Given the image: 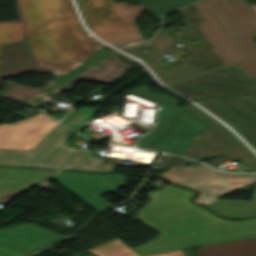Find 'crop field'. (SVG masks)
<instances>
[{"label": "crop field", "mask_w": 256, "mask_h": 256, "mask_svg": "<svg viewBox=\"0 0 256 256\" xmlns=\"http://www.w3.org/2000/svg\"><path fill=\"white\" fill-rule=\"evenodd\" d=\"M21 22L0 23L2 45L22 40L48 19L77 16L70 0H18ZM96 50L72 19L49 21L24 41L5 46L4 76L24 71L65 72ZM1 74V71H0Z\"/></svg>", "instance_id": "8a807250"}, {"label": "crop field", "mask_w": 256, "mask_h": 256, "mask_svg": "<svg viewBox=\"0 0 256 256\" xmlns=\"http://www.w3.org/2000/svg\"><path fill=\"white\" fill-rule=\"evenodd\" d=\"M148 195L136 219L160 235L132 248L141 256L256 237V218L220 219L188 202L193 192L169 185Z\"/></svg>", "instance_id": "ac0d7876"}, {"label": "crop field", "mask_w": 256, "mask_h": 256, "mask_svg": "<svg viewBox=\"0 0 256 256\" xmlns=\"http://www.w3.org/2000/svg\"><path fill=\"white\" fill-rule=\"evenodd\" d=\"M206 21L198 29L226 67L237 64L256 76V14L245 0H203L194 4Z\"/></svg>", "instance_id": "34b2d1b8"}, {"label": "crop field", "mask_w": 256, "mask_h": 256, "mask_svg": "<svg viewBox=\"0 0 256 256\" xmlns=\"http://www.w3.org/2000/svg\"><path fill=\"white\" fill-rule=\"evenodd\" d=\"M55 171L0 168V201L6 202L37 183L49 178ZM64 236L35 224H20L0 229V245L32 253Z\"/></svg>", "instance_id": "412701ff"}, {"label": "crop field", "mask_w": 256, "mask_h": 256, "mask_svg": "<svg viewBox=\"0 0 256 256\" xmlns=\"http://www.w3.org/2000/svg\"><path fill=\"white\" fill-rule=\"evenodd\" d=\"M129 66L131 65L121 63L118 57L109 51H101L72 72L66 75H56L54 83L45 89L21 87L6 81V89L1 95L40 107L41 104L37 98L43 93L60 90L72 91L73 83L79 80L110 84Z\"/></svg>", "instance_id": "f4fd0767"}, {"label": "crop field", "mask_w": 256, "mask_h": 256, "mask_svg": "<svg viewBox=\"0 0 256 256\" xmlns=\"http://www.w3.org/2000/svg\"><path fill=\"white\" fill-rule=\"evenodd\" d=\"M90 30L105 42L118 44L142 39L134 20L142 5L115 4L113 0H77Z\"/></svg>", "instance_id": "dd49c442"}, {"label": "crop field", "mask_w": 256, "mask_h": 256, "mask_svg": "<svg viewBox=\"0 0 256 256\" xmlns=\"http://www.w3.org/2000/svg\"><path fill=\"white\" fill-rule=\"evenodd\" d=\"M190 118L205 122L208 127L190 138L191 143L181 155L200 160L216 155H231L256 170V155L244 145L232 132L195 105H187Z\"/></svg>", "instance_id": "e52e79f7"}, {"label": "crop field", "mask_w": 256, "mask_h": 256, "mask_svg": "<svg viewBox=\"0 0 256 256\" xmlns=\"http://www.w3.org/2000/svg\"><path fill=\"white\" fill-rule=\"evenodd\" d=\"M195 101L201 99H256V77L236 65L169 86Z\"/></svg>", "instance_id": "d8731c3e"}, {"label": "crop field", "mask_w": 256, "mask_h": 256, "mask_svg": "<svg viewBox=\"0 0 256 256\" xmlns=\"http://www.w3.org/2000/svg\"><path fill=\"white\" fill-rule=\"evenodd\" d=\"M72 133L59 124L30 152L0 149V165L59 168L78 150L64 145Z\"/></svg>", "instance_id": "5a996713"}, {"label": "crop field", "mask_w": 256, "mask_h": 256, "mask_svg": "<svg viewBox=\"0 0 256 256\" xmlns=\"http://www.w3.org/2000/svg\"><path fill=\"white\" fill-rule=\"evenodd\" d=\"M163 176L173 183L198 190L200 194L194 201L201 205L231 192L227 185L238 183V179L256 182V175L220 173L207 166L171 167Z\"/></svg>", "instance_id": "3316defc"}, {"label": "crop field", "mask_w": 256, "mask_h": 256, "mask_svg": "<svg viewBox=\"0 0 256 256\" xmlns=\"http://www.w3.org/2000/svg\"><path fill=\"white\" fill-rule=\"evenodd\" d=\"M53 179L96 211L110 204L99 195L122 189L127 177L59 171Z\"/></svg>", "instance_id": "28ad6ade"}, {"label": "crop field", "mask_w": 256, "mask_h": 256, "mask_svg": "<svg viewBox=\"0 0 256 256\" xmlns=\"http://www.w3.org/2000/svg\"><path fill=\"white\" fill-rule=\"evenodd\" d=\"M173 40L174 39L171 38L166 31L161 30L148 43L147 47H150L151 49L146 52V56L143 58L145 59L148 57V59H157L160 57V54L177 55L170 69L158 67L159 61H144L166 86L225 68V65H223L210 70H201L198 69V66L190 65V53L176 48H169ZM183 55H187L186 59L182 58ZM178 61L182 62L183 64L177 65ZM178 78L180 80H177Z\"/></svg>", "instance_id": "d1516ede"}, {"label": "crop field", "mask_w": 256, "mask_h": 256, "mask_svg": "<svg viewBox=\"0 0 256 256\" xmlns=\"http://www.w3.org/2000/svg\"><path fill=\"white\" fill-rule=\"evenodd\" d=\"M238 132L256 150V100L197 102Z\"/></svg>", "instance_id": "22f410ed"}, {"label": "crop field", "mask_w": 256, "mask_h": 256, "mask_svg": "<svg viewBox=\"0 0 256 256\" xmlns=\"http://www.w3.org/2000/svg\"><path fill=\"white\" fill-rule=\"evenodd\" d=\"M59 123L38 113L14 125H0V148L30 151Z\"/></svg>", "instance_id": "cbeb9de0"}, {"label": "crop field", "mask_w": 256, "mask_h": 256, "mask_svg": "<svg viewBox=\"0 0 256 256\" xmlns=\"http://www.w3.org/2000/svg\"><path fill=\"white\" fill-rule=\"evenodd\" d=\"M171 117L172 115L168 110L160 111L156 128L152 133L143 137L138 146L167 151L174 154L181 150L187 142L186 137L191 135V133H168L166 125L170 121Z\"/></svg>", "instance_id": "5142ce71"}, {"label": "crop field", "mask_w": 256, "mask_h": 256, "mask_svg": "<svg viewBox=\"0 0 256 256\" xmlns=\"http://www.w3.org/2000/svg\"><path fill=\"white\" fill-rule=\"evenodd\" d=\"M200 256H256V238L198 248Z\"/></svg>", "instance_id": "d9b57169"}, {"label": "crop field", "mask_w": 256, "mask_h": 256, "mask_svg": "<svg viewBox=\"0 0 256 256\" xmlns=\"http://www.w3.org/2000/svg\"><path fill=\"white\" fill-rule=\"evenodd\" d=\"M206 207L219 215L232 218L256 215V188L252 201L217 200Z\"/></svg>", "instance_id": "733c2abd"}, {"label": "crop field", "mask_w": 256, "mask_h": 256, "mask_svg": "<svg viewBox=\"0 0 256 256\" xmlns=\"http://www.w3.org/2000/svg\"><path fill=\"white\" fill-rule=\"evenodd\" d=\"M91 153H92V151H90L88 149H84L71 162H69L63 169L110 172V171L98 166L100 163H102L104 161V159L94 157L91 155Z\"/></svg>", "instance_id": "4a817a6b"}, {"label": "crop field", "mask_w": 256, "mask_h": 256, "mask_svg": "<svg viewBox=\"0 0 256 256\" xmlns=\"http://www.w3.org/2000/svg\"><path fill=\"white\" fill-rule=\"evenodd\" d=\"M173 115L171 121L167 125V130L185 131L194 133L195 130L202 128L204 125L198 122H191L187 119L186 114L182 112L181 108L168 109Z\"/></svg>", "instance_id": "bc2a9ffb"}, {"label": "crop field", "mask_w": 256, "mask_h": 256, "mask_svg": "<svg viewBox=\"0 0 256 256\" xmlns=\"http://www.w3.org/2000/svg\"><path fill=\"white\" fill-rule=\"evenodd\" d=\"M89 251L97 256H139L137 253H135L133 250H131L126 246L111 249L107 244ZM150 256H184V255L182 251L179 250V251L158 254V255H150Z\"/></svg>", "instance_id": "214f88e0"}, {"label": "crop field", "mask_w": 256, "mask_h": 256, "mask_svg": "<svg viewBox=\"0 0 256 256\" xmlns=\"http://www.w3.org/2000/svg\"><path fill=\"white\" fill-rule=\"evenodd\" d=\"M197 0H155L146 10L150 11L157 19L160 15L175 10Z\"/></svg>", "instance_id": "92a150f3"}, {"label": "crop field", "mask_w": 256, "mask_h": 256, "mask_svg": "<svg viewBox=\"0 0 256 256\" xmlns=\"http://www.w3.org/2000/svg\"><path fill=\"white\" fill-rule=\"evenodd\" d=\"M93 109L91 108H82L78 110L77 112L71 114L68 116L63 123L67 124L71 128L78 130L81 127L85 126V119L91 116ZM79 124H83L82 126H78Z\"/></svg>", "instance_id": "dafd665d"}, {"label": "crop field", "mask_w": 256, "mask_h": 256, "mask_svg": "<svg viewBox=\"0 0 256 256\" xmlns=\"http://www.w3.org/2000/svg\"><path fill=\"white\" fill-rule=\"evenodd\" d=\"M131 91L160 102L161 103L160 110L166 109V108L178 107V105H176L171 98L164 95L151 93L146 90L145 86L137 87Z\"/></svg>", "instance_id": "00972430"}, {"label": "crop field", "mask_w": 256, "mask_h": 256, "mask_svg": "<svg viewBox=\"0 0 256 256\" xmlns=\"http://www.w3.org/2000/svg\"><path fill=\"white\" fill-rule=\"evenodd\" d=\"M25 255H27V254L20 253V252L0 246V256H25Z\"/></svg>", "instance_id": "a9b5d70f"}, {"label": "crop field", "mask_w": 256, "mask_h": 256, "mask_svg": "<svg viewBox=\"0 0 256 256\" xmlns=\"http://www.w3.org/2000/svg\"><path fill=\"white\" fill-rule=\"evenodd\" d=\"M249 184H253L247 180H239V184H232V185H228L229 188L233 191L239 187L245 186V185H249Z\"/></svg>", "instance_id": "4177f3b9"}, {"label": "crop field", "mask_w": 256, "mask_h": 256, "mask_svg": "<svg viewBox=\"0 0 256 256\" xmlns=\"http://www.w3.org/2000/svg\"><path fill=\"white\" fill-rule=\"evenodd\" d=\"M108 245L111 247V248H114V247H119V246H123L124 244H122L120 241H118L117 239L108 243Z\"/></svg>", "instance_id": "730fd06b"}, {"label": "crop field", "mask_w": 256, "mask_h": 256, "mask_svg": "<svg viewBox=\"0 0 256 256\" xmlns=\"http://www.w3.org/2000/svg\"><path fill=\"white\" fill-rule=\"evenodd\" d=\"M139 1L146 8L152 0H139Z\"/></svg>", "instance_id": "eef30255"}, {"label": "crop field", "mask_w": 256, "mask_h": 256, "mask_svg": "<svg viewBox=\"0 0 256 256\" xmlns=\"http://www.w3.org/2000/svg\"><path fill=\"white\" fill-rule=\"evenodd\" d=\"M49 94H51V93H49ZM46 95H48V94H43L41 97L38 98V101H40L41 99H43Z\"/></svg>", "instance_id": "ae1a2a85"}, {"label": "crop field", "mask_w": 256, "mask_h": 256, "mask_svg": "<svg viewBox=\"0 0 256 256\" xmlns=\"http://www.w3.org/2000/svg\"><path fill=\"white\" fill-rule=\"evenodd\" d=\"M252 7L254 8V10L256 11V6L255 5H252Z\"/></svg>", "instance_id": "d3111659"}]
</instances>
